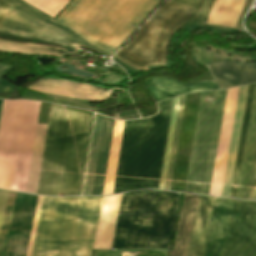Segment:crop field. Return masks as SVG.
Wrapping results in <instances>:
<instances>
[{
	"label": "crop field",
	"mask_w": 256,
	"mask_h": 256,
	"mask_svg": "<svg viewBox=\"0 0 256 256\" xmlns=\"http://www.w3.org/2000/svg\"><path fill=\"white\" fill-rule=\"evenodd\" d=\"M149 84L159 101L191 92L217 89L214 82L186 84L166 78H151Z\"/></svg>",
	"instance_id": "15"
},
{
	"label": "crop field",
	"mask_w": 256,
	"mask_h": 256,
	"mask_svg": "<svg viewBox=\"0 0 256 256\" xmlns=\"http://www.w3.org/2000/svg\"><path fill=\"white\" fill-rule=\"evenodd\" d=\"M2 102L3 100H0V114H1Z\"/></svg>",
	"instance_id": "36"
},
{
	"label": "crop field",
	"mask_w": 256,
	"mask_h": 256,
	"mask_svg": "<svg viewBox=\"0 0 256 256\" xmlns=\"http://www.w3.org/2000/svg\"><path fill=\"white\" fill-rule=\"evenodd\" d=\"M90 115L52 104L36 193L77 195Z\"/></svg>",
	"instance_id": "1"
},
{
	"label": "crop field",
	"mask_w": 256,
	"mask_h": 256,
	"mask_svg": "<svg viewBox=\"0 0 256 256\" xmlns=\"http://www.w3.org/2000/svg\"><path fill=\"white\" fill-rule=\"evenodd\" d=\"M214 197L199 196L187 256H201Z\"/></svg>",
	"instance_id": "14"
},
{
	"label": "crop field",
	"mask_w": 256,
	"mask_h": 256,
	"mask_svg": "<svg viewBox=\"0 0 256 256\" xmlns=\"http://www.w3.org/2000/svg\"><path fill=\"white\" fill-rule=\"evenodd\" d=\"M7 194H8L7 191L0 190V228H1L2 218H3L5 203L7 199Z\"/></svg>",
	"instance_id": "33"
},
{
	"label": "crop field",
	"mask_w": 256,
	"mask_h": 256,
	"mask_svg": "<svg viewBox=\"0 0 256 256\" xmlns=\"http://www.w3.org/2000/svg\"><path fill=\"white\" fill-rule=\"evenodd\" d=\"M171 1L194 8L191 18L186 23H193L194 21H207L209 9L213 2V0H205L204 2L203 0H171ZM200 6H201V9L199 11Z\"/></svg>",
	"instance_id": "25"
},
{
	"label": "crop field",
	"mask_w": 256,
	"mask_h": 256,
	"mask_svg": "<svg viewBox=\"0 0 256 256\" xmlns=\"http://www.w3.org/2000/svg\"><path fill=\"white\" fill-rule=\"evenodd\" d=\"M184 97H185V95L181 96L180 100H179V106H178L176 125H175V131H174L173 144H172V150H171V156H170L169 169H168L165 190H169V187H170V181H171V175H172V169H173V163H174V157H175V151H176L182 109H183V103H184Z\"/></svg>",
	"instance_id": "29"
},
{
	"label": "crop field",
	"mask_w": 256,
	"mask_h": 256,
	"mask_svg": "<svg viewBox=\"0 0 256 256\" xmlns=\"http://www.w3.org/2000/svg\"><path fill=\"white\" fill-rule=\"evenodd\" d=\"M158 2L73 0L56 19L87 42L112 54Z\"/></svg>",
	"instance_id": "4"
},
{
	"label": "crop field",
	"mask_w": 256,
	"mask_h": 256,
	"mask_svg": "<svg viewBox=\"0 0 256 256\" xmlns=\"http://www.w3.org/2000/svg\"><path fill=\"white\" fill-rule=\"evenodd\" d=\"M42 199H43V197L39 196L26 256L31 255L32 245H33L36 226H37L38 217H39L38 213L40 212L39 209L41 207Z\"/></svg>",
	"instance_id": "31"
},
{
	"label": "crop field",
	"mask_w": 256,
	"mask_h": 256,
	"mask_svg": "<svg viewBox=\"0 0 256 256\" xmlns=\"http://www.w3.org/2000/svg\"><path fill=\"white\" fill-rule=\"evenodd\" d=\"M119 213H120V211H119ZM118 216H119V214H118ZM113 242H114V240H113ZM112 247H113V243H112ZM112 247H111V249H112Z\"/></svg>",
	"instance_id": "37"
},
{
	"label": "crop field",
	"mask_w": 256,
	"mask_h": 256,
	"mask_svg": "<svg viewBox=\"0 0 256 256\" xmlns=\"http://www.w3.org/2000/svg\"><path fill=\"white\" fill-rule=\"evenodd\" d=\"M103 197H44L31 256H91Z\"/></svg>",
	"instance_id": "2"
},
{
	"label": "crop field",
	"mask_w": 256,
	"mask_h": 256,
	"mask_svg": "<svg viewBox=\"0 0 256 256\" xmlns=\"http://www.w3.org/2000/svg\"><path fill=\"white\" fill-rule=\"evenodd\" d=\"M244 0H215L207 24L235 27Z\"/></svg>",
	"instance_id": "19"
},
{
	"label": "crop field",
	"mask_w": 256,
	"mask_h": 256,
	"mask_svg": "<svg viewBox=\"0 0 256 256\" xmlns=\"http://www.w3.org/2000/svg\"><path fill=\"white\" fill-rule=\"evenodd\" d=\"M198 196L185 194L172 256H186Z\"/></svg>",
	"instance_id": "16"
},
{
	"label": "crop field",
	"mask_w": 256,
	"mask_h": 256,
	"mask_svg": "<svg viewBox=\"0 0 256 256\" xmlns=\"http://www.w3.org/2000/svg\"><path fill=\"white\" fill-rule=\"evenodd\" d=\"M227 90L201 95L185 192L209 194ZM204 96L216 102H202Z\"/></svg>",
	"instance_id": "8"
},
{
	"label": "crop field",
	"mask_w": 256,
	"mask_h": 256,
	"mask_svg": "<svg viewBox=\"0 0 256 256\" xmlns=\"http://www.w3.org/2000/svg\"><path fill=\"white\" fill-rule=\"evenodd\" d=\"M247 88L248 86L240 87V89L238 87V88L230 89L227 92V98H226V104H225V110H224V116H223V122L221 127V133H220V139H219V145H218V151H217V157L215 162L210 195L220 196L221 194L224 170L226 165L229 141L231 136L233 118H234L238 89H239L236 113L234 118L231 142L229 147L227 165H226L222 194H221V196L229 197L234 164H235L236 153H237V147H238V141H239V135H240V129H241V123H242L244 106H245V100H246V94H247Z\"/></svg>",
	"instance_id": "9"
},
{
	"label": "crop field",
	"mask_w": 256,
	"mask_h": 256,
	"mask_svg": "<svg viewBox=\"0 0 256 256\" xmlns=\"http://www.w3.org/2000/svg\"><path fill=\"white\" fill-rule=\"evenodd\" d=\"M172 102L158 103L149 119L125 122L113 194L158 189Z\"/></svg>",
	"instance_id": "3"
},
{
	"label": "crop field",
	"mask_w": 256,
	"mask_h": 256,
	"mask_svg": "<svg viewBox=\"0 0 256 256\" xmlns=\"http://www.w3.org/2000/svg\"><path fill=\"white\" fill-rule=\"evenodd\" d=\"M52 17H56L70 0H24Z\"/></svg>",
	"instance_id": "27"
},
{
	"label": "crop field",
	"mask_w": 256,
	"mask_h": 256,
	"mask_svg": "<svg viewBox=\"0 0 256 256\" xmlns=\"http://www.w3.org/2000/svg\"><path fill=\"white\" fill-rule=\"evenodd\" d=\"M0 51H11L16 53L44 54L60 57L67 51L61 48L21 44L0 39Z\"/></svg>",
	"instance_id": "24"
},
{
	"label": "crop field",
	"mask_w": 256,
	"mask_h": 256,
	"mask_svg": "<svg viewBox=\"0 0 256 256\" xmlns=\"http://www.w3.org/2000/svg\"><path fill=\"white\" fill-rule=\"evenodd\" d=\"M47 125L38 124L26 192L35 193ZM39 134V135H37Z\"/></svg>",
	"instance_id": "23"
},
{
	"label": "crop field",
	"mask_w": 256,
	"mask_h": 256,
	"mask_svg": "<svg viewBox=\"0 0 256 256\" xmlns=\"http://www.w3.org/2000/svg\"><path fill=\"white\" fill-rule=\"evenodd\" d=\"M178 100H179V97L175 98L174 102H173V108H172V114H171V120H170V126H169V132H168V138H167V144H166V150H165V156H164V162H163V168H162V174H161V180H160V186H159V189H162V190H164V187H165V181H166V175H167V169H168V162H169V156H170V150H171V143H172V137H173V131H174V125H175Z\"/></svg>",
	"instance_id": "26"
},
{
	"label": "crop field",
	"mask_w": 256,
	"mask_h": 256,
	"mask_svg": "<svg viewBox=\"0 0 256 256\" xmlns=\"http://www.w3.org/2000/svg\"><path fill=\"white\" fill-rule=\"evenodd\" d=\"M181 194H124L113 249L170 248Z\"/></svg>",
	"instance_id": "5"
},
{
	"label": "crop field",
	"mask_w": 256,
	"mask_h": 256,
	"mask_svg": "<svg viewBox=\"0 0 256 256\" xmlns=\"http://www.w3.org/2000/svg\"><path fill=\"white\" fill-rule=\"evenodd\" d=\"M113 123V119L105 117L91 195L102 194L103 191Z\"/></svg>",
	"instance_id": "18"
},
{
	"label": "crop field",
	"mask_w": 256,
	"mask_h": 256,
	"mask_svg": "<svg viewBox=\"0 0 256 256\" xmlns=\"http://www.w3.org/2000/svg\"><path fill=\"white\" fill-rule=\"evenodd\" d=\"M11 66L0 64V93L13 94L17 91L18 87L11 85L8 81L1 80L4 73L8 71Z\"/></svg>",
	"instance_id": "30"
},
{
	"label": "crop field",
	"mask_w": 256,
	"mask_h": 256,
	"mask_svg": "<svg viewBox=\"0 0 256 256\" xmlns=\"http://www.w3.org/2000/svg\"><path fill=\"white\" fill-rule=\"evenodd\" d=\"M28 88L39 92L76 97L91 101H103L108 98L111 91L89 84L59 79H44Z\"/></svg>",
	"instance_id": "11"
},
{
	"label": "crop field",
	"mask_w": 256,
	"mask_h": 256,
	"mask_svg": "<svg viewBox=\"0 0 256 256\" xmlns=\"http://www.w3.org/2000/svg\"><path fill=\"white\" fill-rule=\"evenodd\" d=\"M218 90L256 82V62H218L205 65Z\"/></svg>",
	"instance_id": "12"
},
{
	"label": "crop field",
	"mask_w": 256,
	"mask_h": 256,
	"mask_svg": "<svg viewBox=\"0 0 256 256\" xmlns=\"http://www.w3.org/2000/svg\"><path fill=\"white\" fill-rule=\"evenodd\" d=\"M254 86H255V84L250 85L248 88V94H247V100H246V106H245L244 118H243V123H242V129H241V135H240V141H239V147H238V153H237V159H236V164H235V170H234V176H233L230 197H236V194H237V188H238V182H239V176H240V170H241V164H242V158H243V152H244V146H245V140H246L252 98H253V92H254Z\"/></svg>",
	"instance_id": "21"
},
{
	"label": "crop field",
	"mask_w": 256,
	"mask_h": 256,
	"mask_svg": "<svg viewBox=\"0 0 256 256\" xmlns=\"http://www.w3.org/2000/svg\"><path fill=\"white\" fill-rule=\"evenodd\" d=\"M192 10L168 1L114 57L141 71L165 65L169 37L189 19Z\"/></svg>",
	"instance_id": "7"
},
{
	"label": "crop field",
	"mask_w": 256,
	"mask_h": 256,
	"mask_svg": "<svg viewBox=\"0 0 256 256\" xmlns=\"http://www.w3.org/2000/svg\"><path fill=\"white\" fill-rule=\"evenodd\" d=\"M255 197H256V149H255V155H254V161H253V167H252V173H251V179H250V185H249L247 199L255 200Z\"/></svg>",
	"instance_id": "32"
},
{
	"label": "crop field",
	"mask_w": 256,
	"mask_h": 256,
	"mask_svg": "<svg viewBox=\"0 0 256 256\" xmlns=\"http://www.w3.org/2000/svg\"><path fill=\"white\" fill-rule=\"evenodd\" d=\"M9 1H11V2H13V3L17 4V5H20L23 8H25V9H27V10H29V11H31V12H33V13L41 16V17H43V18H46V19H49V20L55 22L53 19L49 18L48 16H46V15L42 14L41 12H39V11L29 7V6H27L26 4H24V3L20 2V1H17V0H9Z\"/></svg>",
	"instance_id": "34"
},
{
	"label": "crop field",
	"mask_w": 256,
	"mask_h": 256,
	"mask_svg": "<svg viewBox=\"0 0 256 256\" xmlns=\"http://www.w3.org/2000/svg\"><path fill=\"white\" fill-rule=\"evenodd\" d=\"M255 143H256V87H255V93H254V99H253V105H252V111H251V117H250V123H249V129H248V135H247V141H246L237 198L246 199V196H247Z\"/></svg>",
	"instance_id": "17"
},
{
	"label": "crop field",
	"mask_w": 256,
	"mask_h": 256,
	"mask_svg": "<svg viewBox=\"0 0 256 256\" xmlns=\"http://www.w3.org/2000/svg\"><path fill=\"white\" fill-rule=\"evenodd\" d=\"M238 254L256 256V201L215 197L202 256Z\"/></svg>",
	"instance_id": "6"
},
{
	"label": "crop field",
	"mask_w": 256,
	"mask_h": 256,
	"mask_svg": "<svg viewBox=\"0 0 256 256\" xmlns=\"http://www.w3.org/2000/svg\"><path fill=\"white\" fill-rule=\"evenodd\" d=\"M124 122L115 120L103 195L112 194Z\"/></svg>",
	"instance_id": "20"
},
{
	"label": "crop field",
	"mask_w": 256,
	"mask_h": 256,
	"mask_svg": "<svg viewBox=\"0 0 256 256\" xmlns=\"http://www.w3.org/2000/svg\"><path fill=\"white\" fill-rule=\"evenodd\" d=\"M121 196L104 197L93 249H110Z\"/></svg>",
	"instance_id": "13"
},
{
	"label": "crop field",
	"mask_w": 256,
	"mask_h": 256,
	"mask_svg": "<svg viewBox=\"0 0 256 256\" xmlns=\"http://www.w3.org/2000/svg\"><path fill=\"white\" fill-rule=\"evenodd\" d=\"M103 119H104L103 116L96 114L82 195H90L91 193V187H92L95 164H96L97 153L99 148Z\"/></svg>",
	"instance_id": "22"
},
{
	"label": "crop field",
	"mask_w": 256,
	"mask_h": 256,
	"mask_svg": "<svg viewBox=\"0 0 256 256\" xmlns=\"http://www.w3.org/2000/svg\"><path fill=\"white\" fill-rule=\"evenodd\" d=\"M9 7H10L9 3L5 2L4 0H0V20Z\"/></svg>",
	"instance_id": "35"
},
{
	"label": "crop field",
	"mask_w": 256,
	"mask_h": 256,
	"mask_svg": "<svg viewBox=\"0 0 256 256\" xmlns=\"http://www.w3.org/2000/svg\"><path fill=\"white\" fill-rule=\"evenodd\" d=\"M0 32L27 39L60 43L73 54L82 46L107 58L110 57L90 47L59 25L34 16L14 5H11L0 21Z\"/></svg>",
	"instance_id": "10"
},
{
	"label": "crop field",
	"mask_w": 256,
	"mask_h": 256,
	"mask_svg": "<svg viewBox=\"0 0 256 256\" xmlns=\"http://www.w3.org/2000/svg\"><path fill=\"white\" fill-rule=\"evenodd\" d=\"M15 195H16V193L9 192L7 204L5 203L6 208H5L2 228H1V232H0V256H3L4 249H5V244H6L11 214H12V210H13Z\"/></svg>",
	"instance_id": "28"
}]
</instances>
